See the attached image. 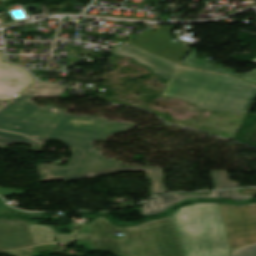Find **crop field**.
Returning a JSON list of instances; mask_svg holds the SVG:
<instances>
[{
    "label": "crop field",
    "mask_w": 256,
    "mask_h": 256,
    "mask_svg": "<svg viewBox=\"0 0 256 256\" xmlns=\"http://www.w3.org/2000/svg\"><path fill=\"white\" fill-rule=\"evenodd\" d=\"M75 238L76 240L90 239L89 234L85 232H76Z\"/></svg>",
    "instance_id": "214f88e0"
},
{
    "label": "crop field",
    "mask_w": 256,
    "mask_h": 256,
    "mask_svg": "<svg viewBox=\"0 0 256 256\" xmlns=\"http://www.w3.org/2000/svg\"><path fill=\"white\" fill-rule=\"evenodd\" d=\"M1 1V0H0Z\"/></svg>",
    "instance_id": "730fd06b"
},
{
    "label": "crop field",
    "mask_w": 256,
    "mask_h": 256,
    "mask_svg": "<svg viewBox=\"0 0 256 256\" xmlns=\"http://www.w3.org/2000/svg\"><path fill=\"white\" fill-rule=\"evenodd\" d=\"M185 256H229L218 203H196L171 213Z\"/></svg>",
    "instance_id": "412701ff"
},
{
    "label": "crop field",
    "mask_w": 256,
    "mask_h": 256,
    "mask_svg": "<svg viewBox=\"0 0 256 256\" xmlns=\"http://www.w3.org/2000/svg\"><path fill=\"white\" fill-rule=\"evenodd\" d=\"M65 87L39 82L10 104L0 109V130L21 133L43 144L61 140L70 146L73 157L67 167L38 169L41 179L112 168L121 165L94 151L92 142L125 131L134 124L107 122L104 119L66 115V110L36 107L32 96L59 97Z\"/></svg>",
    "instance_id": "8a807250"
},
{
    "label": "crop field",
    "mask_w": 256,
    "mask_h": 256,
    "mask_svg": "<svg viewBox=\"0 0 256 256\" xmlns=\"http://www.w3.org/2000/svg\"><path fill=\"white\" fill-rule=\"evenodd\" d=\"M238 190H225V191H214L211 192V196L200 197V196H180L176 194H166L162 196H157L150 199L145 203L142 208V215H154L163 212L164 210L170 208L172 205L181 202L188 198H224L233 201H241L249 199L253 196L237 195Z\"/></svg>",
    "instance_id": "5a996713"
},
{
    "label": "crop field",
    "mask_w": 256,
    "mask_h": 256,
    "mask_svg": "<svg viewBox=\"0 0 256 256\" xmlns=\"http://www.w3.org/2000/svg\"><path fill=\"white\" fill-rule=\"evenodd\" d=\"M230 250L256 242V203H219Z\"/></svg>",
    "instance_id": "f4fd0767"
},
{
    "label": "crop field",
    "mask_w": 256,
    "mask_h": 256,
    "mask_svg": "<svg viewBox=\"0 0 256 256\" xmlns=\"http://www.w3.org/2000/svg\"><path fill=\"white\" fill-rule=\"evenodd\" d=\"M120 171L147 172L150 180H152V183H153V186L150 188L152 195L154 196V195H158L162 192H167L161 169H151V168H137V167L112 168V169L76 174V175H71V176L41 180V182L55 181V180H63V181L69 182V181L80 180V179H85V178L103 176V175L116 173V172H120Z\"/></svg>",
    "instance_id": "28ad6ade"
},
{
    "label": "crop field",
    "mask_w": 256,
    "mask_h": 256,
    "mask_svg": "<svg viewBox=\"0 0 256 256\" xmlns=\"http://www.w3.org/2000/svg\"><path fill=\"white\" fill-rule=\"evenodd\" d=\"M242 79H245V80L251 81L253 83H256V73H253V74H251L249 76H246Z\"/></svg>",
    "instance_id": "92a150f3"
},
{
    "label": "crop field",
    "mask_w": 256,
    "mask_h": 256,
    "mask_svg": "<svg viewBox=\"0 0 256 256\" xmlns=\"http://www.w3.org/2000/svg\"><path fill=\"white\" fill-rule=\"evenodd\" d=\"M21 193H23V192L0 188V195L3 197L11 195V194H21Z\"/></svg>",
    "instance_id": "bc2a9ffb"
},
{
    "label": "crop field",
    "mask_w": 256,
    "mask_h": 256,
    "mask_svg": "<svg viewBox=\"0 0 256 256\" xmlns=\"http://www.w3.org/2000/svg\"><path fill=\"white\" fill-rule=\"evenodd\" d=\"M175 26H159L155 32L144 30L133 44L178 62L188 49L183 44L170 41L172 36L169 32Z\"/></svg>",
    "instance_id": "dd49c442"
},
{
    "label": "crop field",
    "mask_w": 256,
    "mask_h": 256,
    "mask_svg": "<svg viewBox=\"0 0 256 256\" xmlns=\"http://www.w3.org/2000/svg\"><path fill=\"white\" fill-rule=\"evenodd\" d=\"M26 142L30 144L31 150L33 151H42L43 145L38 144L24 136L0 131V147L6 148L10 143H19Z\"/></svg>",
    "instance_id": "cbeb9de0"
},
{
    "label": "crop field",
    "mask_w": 256,
    "mask_h": 256,
    "mask_svg": "<svg viewBox=\"0 0 256 256\" xmlns=\"http://www.w3.org/2000/svg\"><path fill=\"white\" fill-rule=\"evenodd\" d=\"M112 55L131 57L135 62L147 67L149 71L164 78H167L177 67L175 63L137 48L127 42H123Z\"/></svg>",
    "instance_id": "d8731c3e"
},
{
    "label": "crop field",
    "mask_w": 256,
    "mask_h": 256,
    "mask_svg": "<svg viewBox=\"0 0 256 256\" xmlns=\"http://www.w3.org/2000/svg\"><path fill=\"white\" fill-rule=\"evenodd\" d=\"M35 81L25 69L4 62L0 52V100H11Z\"/></svg>",
    "instance_id": "e52e79f7"
},
{
    "label": "crop field",
    "mask_w": 256,
    "mask_h": 256,
    "mask_svg": "<svg viewBox=\"0 0 256 256\" xmlns=\"http://www.w3.org/2000/svg\"><path fill=\"white\" fill-rule=\"evenodd\" d=\"M31 235L35 244L44 243H64L71 239L70 235H60L53 231L50 227L46 226H34L29 223Z\"/></svg>",
    "instance_id": "d1516ede"
},
{
    "label": "crop field",
    "mask_w": 256,
    "mask_h": 256,
    "mask_svg": "<svg viewBox=\"0 0 256 256\" xmlns=\"http://www.w3.org/2000/svg\"><path fill=\"white\" fill-rule=\"evenodd\" d=\"M33 245L27 221L0 219V250Z\"/></svg>",
    "instance_id": "3316defc"
},
{
    "label": "crop field",
    "mask_w": 256,
    "mask_h": 256,
    "mask_svg": "<svg viewBox=\"0 0 256 256\" xmlns=\"http://www.w3.org/2000/svg\"><path fill=\"white\" fill-rule=\"evenodd\" d=\"M6 253L13 255V256H33L32 247L22 249V250H17V251H10V252H6Z\"/></svg>",
    "instance_id": "4a817a6b"
},
{
    "label": "crop field",
    "mask_w": 256,
    "mask_h": 256,
    "mask_svg": "<svg viewBox=\"0 0 256 256\" xmlns=\"http://www.w3.org/2000/svg\"><path fill=\"white\" fill-rule=\"evenodd\" d=\"M195 49H192L188 55L179 63V64H183V65H187V66H191V67H195V68H201V69H207V70H213V71H219V72H225L227 74L242 78L246 75H249L253 72H256V69L248 72V73H244V74H240V75H236L234 74L235 70L233 69H225L220 65H210L208 64V61L205 60H196L195 57L197 55V52H195Z\"/></svg>",
    "instance_id": "22f410ed"
},
{
    "label": "crop field",
    "mask_w": 256,
    "mask_h": 256,
    "mask_svg": "<svg viewBox=\"0 0 256 256\" xmlns=\"http://www.w3.org/2000/svg\"><path fill=\"white\" fill-rule=\"evenodd\" d=\"M215 189L239 187L238 183L228 180L226 172L212 171Z\"/></svg>",
    "instance_id": "5142ce71"
},
{
    "label": "crop field",
    "mask_w": 256,
    "mask_h": 256,
    "mask_svg": "<svg viewBox=\"0 0 256 256\" xmlns=\"http://www.w3.org/2000/svg\"><path fill=\"white\" fill-rule=\"evenodd\" d=\"M161 96L182 99L201 110L248 113L256 87L217 74L177 67Z\"/></svg>",
    "instance_id": "ac0d7876"
},
{
    "label": "crop field",
    "mask_w": 256,
    "mask_h": 256,
    "mask_svg": "<svg viewBox=\"0 0 256 256\" xmlns=\"http://www.w3.org/2000/svg\"><path fill=\"white\" fill-rule=\"evenodd\" d=\"M6 102L5 101H0V107L2 106V105H4Z\"/></svg>",
    "instance_id": "00972430"
},
{
    "label": "crop field",
    "mask_w": 256,
    "mask_h": 256,
    "mask_svg": "<svg viewBox=\"0 0 256 256\" xmlns=\"http://www.w3.org/2000/svg\"><path fill=\"white\" fill-rule=\"evenodd\" d=\"M252 64H256V60H254L253 62H251Z\"/></svg>",
    "instance_id": "4177f3b9"
},
{
    "label": "crop field",
    "mask_w": 256,
    "mask_h": 256,
    "mask_svg": "<svg viewBox=\"0 0 256 256\" xmlns=\"http://www.w3.org/2000/svg\"><path fill=\"white\" fill-rule=\"evenodd\" d=\"M4 202H3L2 198H0V213L15 212V213L25 214V215L32 216V217L39 218V219L42 218L43 213H27V212L17 211L15 209L7 206Z\"/></svg>",
    "instance_id": "733c2abd"
},
{
    "label": "crop field",
    "mask_w": 256,
    "mask_h": 256,
    "mask_svg": "<svg viewBox=\"0 0 256 256\" xmlns=\"http://www.w3.org/2000/svg\"><path fill=\"white\" fill-rule=\"evenodd\" d=\"M232 256H256V243L236 249L231 253Z\"/></svg>",
    "instance_id": "d9b57169"
},
{
    "label": "crop field",
    "mask_w": 256,
    "mask_h": 256,
    "mask_svg": "<svg viewBox=\"0 0 256 256\" xmlns=\"http://www.w3.org/2000/svg\"><path fill=\"white\" fill-rule=\"evenodd\" d=\"M170 216L134 227L114 226L100 217L88 223L91 239H109L110 231L123 232L124 238L90 241L91 250L114 256H183Z\"/></svg>",
    "instance_id": "34b2d1b8"
},
{
    "label": "crop field",
    "mask_w": 256,
    "mask_h": 256,
    "mask_svg": "<svg viewBox=\"0 0 256 256\" xmlns=\"http://www.w3.org/2000/svg\"><path fill=\"white\" fill-rule=\"evenodd\" d=\"M83 231L87 232L86 224H85V226L83 227Z\"/></svg>",
    "instance_id": "a9b5d70f"
},
{
    "label": "crop field",
    "mask_w": 256,
    "mask_h": 256,
    "mask_svg": "<svg viewBox=\"0 0 256 256\" xmlns=\"http://www.w3.org/2000/svg\"><path fill=\"white\" fill-rule=\"evenodd\" d=\"M54 166H58V165H56V164H51V165H39L38 168L54 167Z\"/></svg>",
    "instance_id": "dafd665d"
}]
</instances>
